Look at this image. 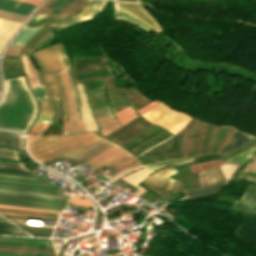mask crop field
I'll return each instance as SVG.
<instances>
[{
    "label": "crop field",
    "instance_id": "8a807250",
    "mask_svg": "<svg viewBox=\"0 0 256 256\" xmlns=\"http://www.w3.org/2000/svg\"><path fill=\"white\" fill-rule=\"evenodd\" d=\"M4 83V97L0 103V128L25 134L36 117V101L24 76L5 80Z\"/></svg>",
    "mask_w": 256,
    "mask_h": 256
},
{
    "label": "crop field",
    "instance_id": "ac0d7876",
    "mask_svg": "<svg viewBox=\"0 0 256 256\" xmlns=\"http://www.w3.org/2000/svg\"><path fill=\"white\" fill-rule=\"evenodd\" d=\"M101 139L103 138L95 132L63 137H27V148L42 163Z\"/></svg>",
    "mask_w": 256,
    "mask_h": 256
},
{
    "label": "crop field",
    "instance_id": "34b2d1b8",
    "mask_svg": "<svg viewBox=\"0 0 256 256\" xmlns=\"http://www.w3.org/2000/svg\"><path fill=\"white\" fill-rule=\"evenodd\" d=\"M42 73L41 79L47 96L57 95L50 72L66 69L57 45L31 53Z\"/></svg>",
    "mask_w": 256,
    "mask_h": 256
},
{
    "label": "crop field",
    "instance_id": "412701ff",
    "mask_svg": "<svg viewBox=\"0 0 256 256\" xmlns=\"http://www.w3.org/2000/svg\"><path fill=\"white\" fill-rule=\"evenodd\" d=\"M0 187L58 194L63 192V189L57 188L37 177L2 173H0Z\"/></svg>",
    "mask_w": 256,
    "mask_h": 256
},
{
    "label": "crop field",
    "instance_id": "f4fd0767",
    "mask_svg": "<svg viewBox=\"0 0 256 256\" xmlns=\"http://www.w3.org/2000/svg\"><path fill=\"white\" fill-rule=\"evenodd\" d=\"M143 117L152 124L160 125L174 135L184 128L190 119V117L170 110L161 103Z\"/></svg>",
    "mask_w": 256,
    "mask_h": 256
},
{
    "label": "crop field",
    "instance_id": "dd49c442",
    "mask_svg": "<svg viewBox=\"0 0 256 256\" xmlns=\"http://www.w3.org/2000/svg\"><path fill=\"white\" fill-rule=\"evenodd\" d=\"M57 73L61 80V84L66 96V102H67V108H68V121L64 123L63 135L67 133L86 131L82 120L81 119L79 120V117H78L77 106H76L74 94L71 88V84L67 75V71L65 70Z\"/></svg>",
    "mask_w": 256,
    "mask_h": 256
},
{
    "label": "crop field",
    "instance_id": "e52e79f7",
    "mask_svg": "<svg viewBox=\"0 0 256 256\" xmlns=\"http://www.w3.org/2000/svg\"><path fill=\"white\" fill-rule=\"evenodd\" d=\"M0 204L64 211L68 201L0 194Z\"/></svg>",
    "mask_w": 256,
    "mask_h": 256
},
{
    "label": "crop field",
    "instance_id": "d8731c3e",
    "mask_svg": "<svg viewBox=\"0 0 256 256\" xmlns=\"http://www.w3.org/2000/svg\"><path fill=\"white\" fill-rule=\"evenodd\" d=\"M112 144L113 143L103 139L101 141L90 144L88 146H85V147L75 150L73 152L67 153V154L57 157L55 159L49 160L42 164L49 167V166L61 161L62 159H65L77 166V165L83 163L84 161L90 159L94 155L98 154L102 150L106 149L107 147H109Z\"/></svg>",
    "mask_w": 256,
    "mask_h": 256
},
{
    "label": "crop field",
    "instance_id": "5a996713",
    "mask_svg": "<svg viewBox=\"0 0 256 256\" xmlns=\"http://www.w3.org/2000/svg\"><path fill=\"white\" fill-rule=\"evenodd\" d=\"M85 0H47L33 15L67 16L80 9Z\"/></svg>",
    "mask_w": 256,
    "mask_h": 256
},
{
    "label": "crop field",
    "instance_id": "3316defc",
    "mask_svg": "<svg viewBox=\"0 0 256 256\" xmlns=\"http://www.w3.org/2000/svg\"><path fill=\"white\" fill-rule=\"evenodd\" d=\"M200 190H184L186 196H207L223 185L216 169L199 173Z\"/></svg>",
    "mask_w": 256,
    "mask_h": 256
},
{
    "label": "crop field",
    "instance_id": "28ad6ade",
    "mask_svg": "<svg viewBox=\"0 0 256 256\" xmlns=\"http://www.w3.org/2000/svg\"><path fill=\"white\" fill-rule=\"evenodd\" d=\"M128 154L130 153L114 144L83 164L91 165L100 169L104 166L107 167L111 165Z\"/></svg>",
    "mask_w": 256,
    "mask_h": 256
},
{
    "label": "crop field",
    "instance_id": "d1516ede",
    "mask_svg": "<svg viewBox=\"0 0 256 256\" xmlns=\"http://www.w3.org/2000/svg\"><path fill=\"white\" fill-rule=\"evenodd\" d=\"M175 172L177 171L173 166L161 169L146 178L143 183L155 191L168 192L173 181L168 178Z\"/></svg>",
    "mask_w": 256,
    "mask_h": 256
},
{
    "label": "crop field",
    "instance_id": "22f410ed",
    "mask_svg": "<svg viewBox=\"0 0 256 256\" xmlns=\"http://www.w3.org/2000/svg\"><path fill=\"white\" fill-rule=\"evenodd\" d=\"M121 3L129 5L131 8L126 5L116 3V10L128 13L157 34L160 33V30L154 20L138 4L128 2Z\"/></svg>",
    "mask_w": 256,
    "mask_h": 256
},
{
    "label": "crop field",
    "instance_id": "cbeb9de0",
    "mask_svg": "<svg viewBox=\"0 0 256 256\" xmlns=\"http://www.w3.org/2000/svg\"><path fill=\"white\" fill-rule=\"evenodd\" d=\"M0 253L54 256L52 248L0 244Z\"/></svg>",
    "mask_w": 256,
    "mask_h": 256
},
{
    "label": "crop field",
    "instance_id": "5142ce71",
    "mask_svg": "<svg viewBox=\"0 0 256 256\" xmlns=\"http://www.w3.org/2000/svg\"><path fill=\"white\" fill-rule=\"evenodd\" d=\"M34 5L17 2L13 0H0V9L28 15L33 10Z\"/></svg>",
    "mask_w": 256,
    "mask_h": 256
},
{
    "label": "crop field",
    "instance_id": "d9b57169",
    "mask_svg": "<svg viewBox=\"0 0 256 256\" xmlns=\"http://www.w3.org/2000/svg\"><path fill=\"white\" fill-rule=\"evenodd\" d=\"M21 60L29 87L40 85V78L30 58L27 57L25 54H22Z\"/></svg>",
    "mask_w": 256,
    "mask_h": 256
},
{
    "label": "crop field",
    "instance_id": "733c2abd",
    "mask_svg": "<svg viewBox=\"0 0 256 256\" xmlns=\"http://www.w3.org/2000/svg\"><path fill=\"white\" fill-rule=\"evenodd\" d=\"M0 243L52 247L49 239L0 237Z\"/></svg>",
    "mask_w": 256,
    "mask_h": 256
},
{
    "label": "crop field",
    "instance_id": "4a817a6b",
    "mask_svg": "<svg viewBox=\"0 0 256 256\" xmlns=\"http://www.w3.org/2000/svg\"><path fill=\"white\" fill-rule=\"evenodd\" d=\"M0 193L35 196V197H45V198H54V199H64V200H69V198H70V196H66V195L47 194V193H38V192H29V191H20V190H11V189H1V188H0Z\"/></svg>",
    "mask_w": 256,
    "mask_h": 256
},
{
    "label": "crop field",
    "instance_id": "bc2a9ffb",
    "mask_svg": "<svg viewBox=\"0 0 256 256\" xmlns=\"http://www.w3.org/2000/svg\"><path fill=\"white\" fill-rule=\"evenodd\" d=\"M137 164H140V162L130 154L107 168L116 174Z\"/></svg>",
    "mask_w": 256,
    "mask_h": 256
},
{
    "label": "crop field",
    "instance_id": "214f88e0",
    "mask_svg": "<svg viewBox=\"0 0 256 256\" xmlns=\"http://www.w3.org/2000/svg\"><path fill=\"white\" fill-rule=\"evenodd\" d=\"M96 121L101 129L102 134H104V135L119 128V125H118L117 121L114 119L112 114H110L106 117L97 119Z\"/></svg>",
    "mask_w": 256,
    "mask_h": 256
},
{
    "label": "crop field",
    "instance_id": "92a150f3",
    "mask_svg": "<svg viewBox=\"0 0 256 256\" xmlns=\"http://www.w3.org/2000/svg\"><path fill=\"white\" fill-rule=\"evenodd\" d=\"M39 28H22L11 45H23Z\"/></svg>",
    "mask_w": 256,
    "mask_h": 256
},
{
    "label": "crop field",
    "instance_id": "dafd665d",
    "mask_svg": "<svg viewBox=\"0 0 256 256\" xmlns=\"http://www.w3.org/2000/svg\"><path fill=\"white\" fill-rule=\"evenodd\" d=\"M62 17H48V16H31L24 27H40L43 24L57 20Z\"/></svg>",
    "mask_w": 256,
    "mask_h": 256
},
{
    "label": "crop field",
    "instance_id": "00972430",
    "mask_svg": "<svg viewBox=\"0 0 256 256\" xmlns=\"http://www.w3.org/2000/svg\"><path fill=\"white\" fill-rule=\"evenodd\" d=\"M0 210L1 211L27 213V214L45 215V216H47V214H48V213H43V212H33V211L14 210V209H5V208H0ZM1 211H0L1 214H6V215H16V216L44 218V219H53V220H57L58 219V218H54V217H43V216L26 215V214H18V213H9V212H1Z\"/></svg>",
    "mask_w": 256,
    "mask_h": 256
},
{
    "label": "crop field",
    "instance_id": "a9b5d70f",
    "mask_svg": "<svg viewBox=\"0 0 256 256\" xmlns=\"http://www.w3.org/2000/svg\"><path fill=\"white\" fill-rule=\"evenodd\" d=\"M21 228L25 229L31 234L40 235V236H50L53 228L49 227H39V226H29V225H19Z\"/></svg>",
    "mask_w": 256,
    "mask_h": 256
},
{
    "label": "crop field",
    "instance_id": "4177f3b9",
    "mask_svg": "<svg viewBox=\"0 0 256 256\" xmlns=\"http://www.w3.org/2000/svg\"><path fill=\"white\" fill-rule=\"evenodd\" d=\"M118 121L120 122L121 126L130 121L132 118L137 116V114L134 113L131 106L114 113Z\"/></svg>",
    "mask_w": 256,
    "mask_h": 256
},
{
    "label": "crop field",
    "instance_id": "730fd06b",
    "mask_svg": "<svg viewBox=\"0 0 256 256\" xmlns=\"http://www.w3.org/2000/svg\"><path fill=\"white\" fill-rule=\"evenodd\" d=\"M63 27H56V26H45L25 47L24 53L31 47L33 46L40 38H42L47 32L50 30H58Z\"/></svg>",
    "mask_w": 256,
    "mask_h": 256
},
{
    "label": "crop field",
    "instance_id": "eef30255",
    "mask_svg": "<svg viewBox=\"0 0 256 256\" xmlns=\"http://www.w3.org/2000/svg\"><path fill=\"white\" fill-rule=\"evenodd\" d=\"M0 233L28 235V234L24 233L23 231H21L20 229L13 226L12 224H10V223H2V222H0Z\"/></svg>",
    "mask_w": 256,
    "mask_h": 256
},
{
    "label": "crop field",
    "instance_id": "ae1a2a85",
    "mask_svg": "<svg viewBox=\"0 0 256 256\" xmlns=\"http://www.w3.org/2000/svg\"><path fill=\"white\" fill-rule=\"evenodd\" d=\"M50 100H51V102L53 104V108H54L52 123L59 122V120H60V107H59L58 95L50 97Z\"/></svg>",
    "mask_w": 256,
    "mask_h": 256
},
{
    "label": "crop field",
    "instance_id": "d3111659",
    "mask_svg": "<svg viewBox=\"0 0 256 256\" xmlns=\"http://www.w3.org/2000/svg\"><path fill=\"white\" fill-rule=\"evenodd\" d=\"M0 17L5 19L20 21V22H23V20L26 18L25 15H20L16 13L1 11V10H0Z\"/></svg>",
    "mask_w": 256,
    "mask_h": 256
},
{
    "label": "crop field",
    "instance_id": "750c4746",
    "mask_svg": "<svg viewBox=\"0 0 256 256\" xmlns=\"http://www.w3.org/2000/svg\"><path fill=\"white\" fill-rule=\"evenodd\" d=\"M104 3V1L89 0L85 8L101 10Z\"/></svg>",
    "mask_w": 256,
    "mask_h": 256
},
{
    "label": "crop field",
    "instance_id": "bd1437ed",
    "mask_svg": "<svg viewBox=\"0 0 256 256\" xmlns=\"http://www.w3.org/2000/svg\"><path fill=\"white\" fill-rule=\"evenodd\" d=\"M38 102H39V110L52 111V106H51L48 98L39 99Z\"/></svg>",
    "mask_w": 256,
    "mask_h": 256
},
{
    "label": "crop field",
    "instance_id": "1d83c4d3",
    "mask_svg": "<svg viewBox=\"0 0 256 256\" xmlns=\"http://www.w3.org/2000/svg\"><path fill=\"white\" fill-rule=\"evenodd\" d=\"M71 205H85V206H91L88 199H82L80 200V197H72L71 198ZM93 206V205H92ZM91 206V207H92Z\"/></svg>",
    "mask_w": 256,
    "mask_h": 256
},
{
    "label": "crop field",
    "instance_id": "120bbe31",
    "mask_svg": "<svg viewBox=\"0 0 256 256\" xmlns=\"http://www.w3.org/2000/svg\"><path fill=\"white\" fill-rule=\"evenodd\" d=\"M36 99L43 98L46 96L44 88L42 85L31 88Z\"/></svg>",
    "mask_w": 256,
    "mask_h": 256
},
{
    "label": "crop field",
    "instance_id": "d32e631a",
    "mask_svg": "<svg viewBox=\"0 0 256 256\" xmlns=\"http://www.w3.org/2000/svg\"><path fill=\"white\" fill-rule=\"evenodd\" d=\"M157 104H159V102L153 101V102L147 104L146 106H144L143 108L137 110V113H139V114L142 116V115H144L146 112H148L149 110H151L153 107H155Z\"/></svg>",
    "mask_w": 256,
    "mask_h": 256
},
{
    "label": "crop field",
    "instance_id": "5866460e",
    "mask_svg": "<svg viewBox=\"0 0 256 256\" xmlns=\"http://www.w3.org/2000/svg\"><path fill=\"white\" fill-rule=\"evenodd\" d=\"M22 46H10L5 55L18 56Z\"/></svg>",
    "mask_w": 256,
    "mask_h": 256
},
{
    "label": "crop field",
    "instance_id": "028f5c9d",
    "mask_svg": "<svg viewBox=\"0 0 256 256\" xmlns=\"http://www.w3.org/2000/svg\"><path fill=\"white\" fill-rule=\"evenodd\" d=\"M82 19H86V18H82V17H72V18H69L67 20H64V21H61V22H58V23H55L53 25H57V26H65L71 22H74V21H78V20H82Z\"/></svg>",
    "mask_w": 256,
    "mask_h": 256
},
{
    "label": "crop field",
    "instance_id": "e1f06a70",
    "mask_svg": "<svg viewBox=\"0 0 256 256\" xmlns=\"http://www.w3.org/2000/svg\"><path fill=\"white\" fill-rule=\"evenodd\" d=\"M98 12H99V11L84 9L80 14H78V15H76V16L93 17V16H95Z\"/></svg>",
    "mask_w": 256,
    "mask_h": 256
},
{
    "label": "crop field",
    "instance_id": "0bd39190",
    "mask_svg": "<svg viewBox=\"0 0 256 256\" xmlns=\"http://www.w3.org/2000/svg\"><path fill=\"white\" fill-rule=\"evenodd\" d=\"M47 124H33L29 132L43 130Z\"/></svg>",
    "mask_w": 256,
    "mask_h": 256
},
{
    "label": "crop field",
    "instance_id": "b80d0937",
    "mask_svg": "<svg viewBox=\"0 0 256 256\" xmlns=\"http://www.w3.org/2000/svg\"><path fill=\"white\" fill-rule=\"evenodd\" d=\"M0 172H2V173H12V174H21V175H31V176H33L32 174H30L28 172H22V171H12V170H2V169H0Z\"/></svg>",
    "mask_w": 256,
    "mask_h": 256
},
{
    "label": "crop field",
    "instance_id": "c035e120",
    "mask_svg": "<svg viewBox=\"0 0 256 256\" xmlns=\"http://www.w3.org/2000/svg\"><path fill=\"white\" fill-rule=\"evenodd\" d=\"M0 207L15 208V209H24V210H34V211H44V212H50V213H52V211H48V210L30 209V208L13 207V206H4V205H0Z\"/></svg>",
    "mask_w": 256,
    "mask_h": 256
},
{
    "label": "crop field",
    "instance_id": "c21b1889",
    "mask_svg": "<svg viewBox=\"0 0 256 256\" xmlns=\"http://www.w3.org/2000/svg\"><path fill=\"white\" fill-rule=\"evenodd\" d=\"M52 112L39 111L38 117L51 118Z\"/></svg>",
    "mask_w": 256,
    "mask_h": 256
},
{
    "label": "crop field",
    "instance_id": "03da06ac",
    "mask_svg": "<svg viewBox=\"0 0 256 256\" xmlns=\"http://www.w3.org/2000/svg\"><path fill=\"white\" fill-rule=\"evenodd\" d=\"M8 219H10L12 221H15V222H21V223H25L26 222V220H22V219H12V218H8Z\"/></svg>",
    "mask_w": 256,
    "mask_h": 256
},
{
    "label": "crop field",
    "instance_id": "b54c1fbb",
    "mask_svg": "<svg viewBox=\"0 0 256 256\" xmlns=\"http://www.w3.org/2000/svg\"><path fill=\"white\" fill-rule=\"evenodd\" d=\"M37 120L50 122V120H51V119L37 118ZM37 120H36L34 123H36V122H37Z\"/></svg>",
    "mask_w": 256,
    "mask_h": 256
},
{
    "label": "crop field",
    "instance_id": "5d738f31",
    "mask_svg": "<svg viewBox=\"0 0 256 256\" xmlns=\"http://www.w3.org/2000/svg\"><path fill=\"white\" fill-rule=\"evenodd\" d=\"M176 183H177L176 181H173V184H172L171 190H175Z\"/></svg>",
    "mask_w": 256,
    "mask_h": 256
},
{
    "label": "crop field",
    "instance_id": "d23c7cc5",
    "mask_svg": "<svg viewBox=\"0 0 256 256\" xmlns=\"http://www.w3.org/2000/svg\"><path fill=\"white\" fill-rule=\"evenodd\" d=\"M0 256H21V255H7V254H0Z\"/></svg>",
    "mask_w": 256,
    "mask_h": 256
},
{
    "label": "crop field",
    "instance_id": "425ffa30",
    "mask_svg": "<svg viewBox=\"0 0 256 256\" xmlns=\"http://www.w3.org/2000/svg\"><path fill=\"white\" fill-rule=\"evenodd\" d=\"M120 1H132V2H138L139 0H120Z\"/></svg>",
    "mask_w": 256,
    "mask_h": 256
},
{
    "label": "crop field",
    "instance_id": "25e5ab78",
    "mask_svg": "<svg viewBox=\"0 0 256 256\" xmlns=\"http://www.w3.org/2000/svg\"><path fill=\"white\" fill-rule=\"evenodd\" d=\"M5 219V218H4ZM2 217H0V221H5V222H7L6 220H4Z\"/></svg>",
    "mask_w": 256,
    "mask_h": 256
},
{
    "label": "crop field",
    "instance_id": "73cf0c24",
    "mask_svg": "<svg viewBox=\"0 0 256 256\" xmlns=\"http://www.w3.org/2000/svg\"><path fill=\"white\" fill-rule=\"evenodd\" d=\"M34 1V0H33ZM38 2V1H37Z\"/></svg>",
    "mask_w": 256,
    "mask_h": 256
}]
</instances>
